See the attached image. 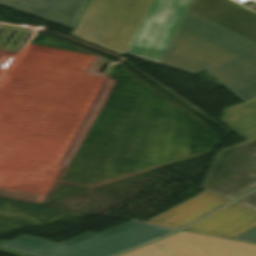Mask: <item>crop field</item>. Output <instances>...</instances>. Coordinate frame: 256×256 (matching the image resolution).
<instances>
[{"mask_svg": "<svg viewBox=\"0 0 256 256\" xmlns=\"http://www.w3.org/2000/svg\"><path fill=\"white\" fill-rule=\"evenodd\" d=\"M191 0H91L72 36L195 73L256 97V44L188 11Z\"/></svg>", "mask_w": 256, "mask_h": 256, "instance_id": "obj_1", "label": "crop field"}, {"mask_svg": "<svg viewBox=\"0 0 256 256\" xmlns=\"http://www.w3.org/2000/svg\"><path fill=\"white\" fill-rule=\"evenodd\" d=\"M202 188L230 201L256 188V140L222 150Z\"/></svg>", "mask_w": 256, "mask_h": 256, "instance_id": "obj_2", "label": "crop field"}, {"mask_svg": "<svg viewBox=\"0 0 256 256\" xmlns=\"http://www.w3.org/2000/svg\"><path fill=\"white\" fill-rule=\"evenodd\" d=\"M175 229L130 221L98 235L87 233L62 244L109 256Z\"/></svg>", "mask_w": 256, "mask_h": 256, "instance_id": "obj_3", "label": "crop field"}, {"mask_svg": "<svg viewBox=\"0 0 256 256\" xmlns=\"http://www.w3.org/2000/svg\"><path fill=\"white\" fill-rule=\"evenodd\" d=\"M155 243L175 256H256V244L184 231Z\"/></svg>", "mask_w": 256, "mask_h": 256, "instance_id": "obj_4", "label": "crop field"}, {"mask_svg": "<svg viewBox=\"0 0 256 256\" xmlns=\"http://www.w3.org/2000/svg\"><path fill=\"white\" fill-rule=\"evenodd\" d=\"M188 11L256 43V13L230 0H192Z\"/></svg>", "mask_w": 256, "mask_h": 256, "instance_id": "obj_5", "label": "crop field"}, {"mask_svg": "<svg viewBox=\"0 0 256 256\" xmlns=\"http://www.w3.org/2000/svg\"><path fill=\"white\" fill-rule=\"evenodd\" d=\"M256 225V213L235 203L197 221L185 230L232 238Z\"/></svg>", "mask_w": 256, "mask_h": 256, "instance_id": "obj_6", "label": "crop field"}, {"mask_svg": "<svg viewBox=\"0 0 256 256\" xmlns=\"http://www.w3.org/2000/svg\"><path fill=\"white\" fill-rule=\"evenodd\" d=\"M88 0H0V4L74 28Z\"/></svg>", "mask_w": 256, "mask_h": 256, "instance_id": "obj_7", "label": "crop field"}, {"mask_svg": "<svg viewBox=\"0 0 256 256\" xmlns=\"http://www.w3.org/2000/svg\"><path fill=\"white\" fill-rule=\"evenodd\" d=\"M228 202L204 191L188 201L158 215L148 223L178 229Z\"/></svg>", "mask_w": 256, "mask_h": 256, "instance_id": "obj_8", "label": "crop field"}, {"mask_svg": "<svg viewBox=\"0 0 256 256\" xmlns=\"http://www.w3.org/2000/svg\"><path fill=\"white\" fill-rule=\"evenodd\" d=\"M0 251L15 256H101L27 235H23L11 242L0 241Z\"/></svg>", "mask_w": 256, "mask_h": 256, "instance_id": "obj_9", "label": "crop field"}, {"mask_svg": "<svg viewBox=\"0 0 256 256\" xmlns=\"http://www.w3.org/2000/svg\"><path fill=\"white\" fill-rule=\"evenodd\" d=\"M224 112L222 122L246 140L256 139V98L245 104L228 108Z\"/></svg>", "mask_w": 256, "mask_h": 256, "instance_id": "obj_10", "label": "crop field"}, {"mask_svg": "<svg viewBox=\"0 0 256 256\" xmlns=\"http://www.w3.org/2000/svg\"><path fill=\"white\" fill-rule=\"evenodd\" d=\"M117 256H173V255L153 242V243L141 246L139 248L127 251Z\"/></svg>", "mask_w": 256, "mask_h": 256, "instance_id": "obj_11", "label": "crop field"}, {"mask_svg": "<svg viewBox=\"0 0 256 256\" xmlns=\"http://www.w3.org/2000/svg\"><path fill=\"white\" fill-rule=\"evenodd\" d=\"M235 203L256 212V191L236 201Z\"/></svg>", "mask_w": 256, "mask_h": 256, "instance_id": "obj_12", "label": "crop field"}, {"mask_svg": "<svg viewBox=\"0 0 256 256\" xmlns=\"http://www.w3.org/2000/svg\"><path fill=\"white\" fill-rule=\"evenodd\" d=\"M234 239H240V240H245V241H250V242L256 243V226L251 228L250 230L234 237Z\"/></svg>", "mask_w": 256, "mask_h": 256, "instance_id": "obj_13", "label": "crop field"}]
</instances>
